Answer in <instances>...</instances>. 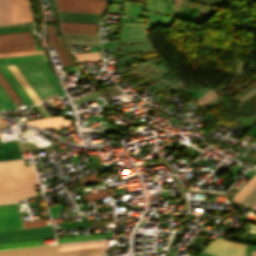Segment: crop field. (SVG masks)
<instances>
[{
  "label": "crop field",
  "mask_w": 256,
  "mask_h": 256,
  "mask_svg": "<svg viewBox=\"0 0 256 256\" xmlns=\"http://www.w3.org/2000/svg\"><path fill=\"white\" fill-rule=\"evenodd\" d=\"M1 137V136H0Z\"/></svg>",
  "instance_id": "obj_39"
},
{
  "label": "crop field",
  "mask_w": 256,
  "mask_h": 256,
  "mask_svg": "<svg viewBox=\"0 0 256 256\" xmlns=\"http://www.w3.org/2000/svg\"><path fill=\"white\" fill-rule=\"evenodd\" d=\"M0 85L3 87V89L6 91V93L14 103L20 102V99L17 97V95L14 93V91L11 89V87L8 85V83L5 81V79L2 77L1 74H0Z\"/></svg>",
  "instance_id": "obj_26"
},
{
  "label": "crop field",
  "mask_w": 256,
  "mask_h": 256,
  "mask_svg": "<svg viewBox=\"0 0 256 256\" xmlns=\"http://www.w3.org/2000/svg\"><path fill=\"white\" fill-rule=\"evenodd\" d=\"M37 180L32 166L22 160L0 162V203L17 201L35 195Z\"/></svg>",
  "instance_id": "obj_1"
},
{
  "label": "crop field",
  "mask_w": 256,
  "mask_h": 256,
  "mask_svg": "<svg viewBox=\"0 0 256 256\" xmlns=\"http://www.w3.org/2000/svg\"><path fill=\"white\" fill-rule=\"evenodd\" d=\"M256 185V175L233 197L236 202H240Z\"/></svg>",
  "instance_id": "obj_22"
},
{
  "label": "crop field",
  "mask_w": 256,
  "mask_h": 256,
  "mask_svg": "<svg viewBox=\"0 0 256 256\" xmlns=\"http://www.w3.org/2000/svg\"><path fill=\"white\" fill-rule=\"evenodd\" d=\"M37 109L42 113L44 117L50 116L49 113L46 111V109L43 107L42 104L36 105Z\"/></svg>",
  "instance_id": "obj_34"
},
{
  "label": "crop field",
  "mask_w": 256,
  "mask_h": 256,
  "mask_svg": "<svg viewBox=\"0 0 256 256\" xmlns=\"http://www.w3.org/2000/svg\"><path fill=\"white\" fill-rule=\"evenodd\" d=\"M23 228L18 213L0 215V231Z\"/></svg>",
  "instance_id": "obj_14"
},
{
  "label": "crop field",
  "mask_w": 256,
  "mask_h": 256,
  "mask_svg": "<svg viewBox=\"0 0 256 256\" xmlns=\"http://www.w3.org/2000/svg\"><path fill=\"white\" fill-rule=\"evenodd\" d=\"M108 196H110V195H109L107 189L103 190V191H99V192L83 194V197L86 199L87 202L92 201L91 200L92 198H93V200H95V199L104 198V197H108Z\"/></svg>",
  "instance_id": "obj_28"
},
{
  "label": "crop field",
  "mask_w": 256,
  "mask_h": 256,
  "mask_svg": "<svg viewBox=\"0 0 256 256\" xmlns=\"http://www.w3.org/2000/svg\"><path fill=\"white\" fill-rule=\"evenodd\" d=\"M14 24L32 21L29 0H11Z\"/></svg>",
  "instance_id": "obj_6"
},
{
  "label": "crop field",
  "mask_w": 256,
  "mask_h": 256,
  "mask_svg": "<svg viewBox=\"0 0 256 256\" xmlns=\"http://www.w3.org/2000/svg\"><path fill=\"white\" fill-rule=\"evenodd\" d=\"M254 208L256 209V206Z\"/></svg>",
  "instance_id": "obj_38"
},
{
  "label": "crop field",
  "mask_w": 256,
  "mask_h": 256,
  "mask_svg": "<svg viewBox=\"0 0 256 256\" xmlns=\"http://www.w3.org/2000/svg\"><path fill=\"white\" fill-rule=\"evenodd\" d=\"M59 10L101 13L107 0H56Z\"/></svg>",
  "instance_id": "obj_4"
},
{
  "label": "crop field",
  "mask_w": 256,
  "mask_h": 256,
  "mask_svg": "<svg viewBox=\"0 0 256 256\" xmlns=\"http://www.w3.org/2000/svg\"><path fill=\"white\" fill-rule=\"evenodd\" d=\"M7 68L10 70V72L13 74V76L16 78V80L34 102V104L41 102L37 95L34 93V91L31 89V87L28 85V83L25 81V79L22 77V75L19 73V71L16 69V67L7 66Z\"/></svg>",
  "instance_id": "obj_16"
},
{
  "label": "crop field",
  "mask_w": 256,
  "mask_h": 256,
  "mask_svg": "<svg viewBox=\"0 0 256 256\" xmlns=\"http://www.w3.org/2000/svg\"><path fill=\"white\" fill-rule=\"evenodd\" d=\"M51 103L53 104V106H54L57 110H60V108L54 103V101H51Z\"/></svg>",
  "instance_id": "obj_36"
},
{
  "label": "crop field",
  "mask_w": 256,
  "mask_h": 256,
  "mask_svg": "<svg viewBox=\"0 0 256 256\" xmlns=\"http://www.w3.org/2000/svg\"><path fill=\"white\" fill-rule=\"evenodd\" d=\"M1 69L10 79V81L13 83V85L16 87V89L19 91V93L22 95V97L25 99L28 105H32L33 102L30 100V98L27 96V94L24 92V90L21 88V86L18 84V82L15 80V78L12 76V74L9 72L6 66H2Z\"/></svg>",
  "instance_id": "obj_21"
},
{
  "label": "crop field",
  "mask_w": 256,
  "mask_h": 256,
  "mask_svg": "<svg viewBox=\"0 0 256 256\" xmlns=\"http://www.w3.org/2000/svg\"><path fill=\"white\" fill-rule=\"evenodd\" d=\"M26 123L38 126L42 129L59 127L70 124L68 120H64L62 116L50 117L41 120L26 121Z\"/></svg>",
  "instance_id": "obj_13"
},
{
  "label": "crop field",
  "mask_w": 256,
  "mask_h": 256,
  "mask_svg": "<svg viewBox=\"0 0 256 256\" xmlns=\"http://www.w3.org/2000/svg\"><path fill=\"white\" fill-rule=\"evenodd\" d=\"M29 256H104L103 246Z\"/></svg>",
  "instance_id": "obj_7"
},
{
  "label": "crop field",
  "mask_w": 256,
  "mask_h": 256,
  "mask_svg": "<svg viewBox=\"0 0 256 256\" xmlns=\"http://www.w3.org/2000/svg\"><path fill=\"white\" fill-rule=\"evenodd\" d=\"M13 24L10 0H0V26Z\"/></svg>",
  "instance_id": "obj_17"
},
{
  "label": "crop field",
  "mask_w": 256,
  "mask_h": 256,
  "mask_svg": "<svg viewBox=\"0 0 256 256\" xmlns=\"http://www.w3.org/2000/svg\"><path fill=\"white\" fill-rule=\"evenodd\" d=\"M41 53H45L44 50H40V51H31V52H21V53H11V54H1V57H11V56H21V55H31V54H41Z\"/></svg>",
  "instance_id": "obj_30"
},
{
  "label": "crop field",
  "mask_w": 256,
  "mask_h": 256,
  "mask_svg": "<svg viewBox=\"0 0 256 256\" xmlns=\"http://www.w3.org/2000/svg\"><path fill=\"white\" fill-rule=\"evenodd\" d=\"M47 60L45 54L41 55H31V56H21V57H11V58H1L0 65L13 64V63H23V62H33V61H43Z\"/></svg>",
  "instance_id": "obj_18"
},
{
  "label": "crop field",
  "mask_w": 256,
  "mask_h": 256,
  "mask_svg": "<svg viewBox=\"0 0 256 256\" xmlns=\"http://www.w3.org/2000/svg\"><path fill=\"white\" fill-rule=\"evenodd\" d=\"M46 244H48V243H46ZM36 245H44L43 240L21 242V243H12V244H3V245H0V250L11 249V248H19V247L36 246Z\"/></svg>",
  "instance_id": "obj_24"
},
{
  "label": "crop field",
  "mask_w": 256,
  "mask_h": 256,
  "mask_svg": "<svg viewBox=\"0 0 256 256\" xmlns=\"http://www.w3.org/2000/svg\"><path fill=\"white\" fill-rule=\"evenodd\" d=\"M111 237V234H101V235H85V236H76V237H65L57 238L59 243L64 242H73V241H83V240H92V239H101Z\"/></svg>",
  "instance_id": "obj_19"
},
{
  "label": "crop field",
  "mask_w": 256,
  "mask_h": 256,
  "mask_svg": "<svg viewBox=\"0 0 256 256\" xmlns=\"http://www.w3.org/2000/svg\"><path fill=\"white\" fill-rule=\"evenodd\" d=\"M55 237L52 226L0 232V244Z\"/></svg>",
  "instance_id": "obj_2"
},
{
  "label": "crop field",
  "mask_w": 256,
  "mask_h": 256,
  "mask_svg": "<svg viewBox=\"0 0 256 256\" xmlns=\"http://www.w3.org/2000/svg\"><path fill=\"white\" fill-rule=\"evenodd\" d=\"M4 127H6V126H5L4 122L0 119V128H4Z\"/></svg>",
  "instance_id": "obj_35"
},
{
  "label": "crop field",
  "mask_w": 256,
  "mask_h": 256,
  "mask_svg": "<svg viewBox=\"0 0 256 256\" xmlns=\"http://www.w3.org/2000/svg\"><path fill=\"white\" fill-rule=\"evenodd\" d=\"M13 108H16V106L12 103V101L0 86V110Z\"/></svg>",
  "instance_id": "obj_25"
},
{
  "label": "crop field",
  "mask_w": 256,
  "mask_h": 256,
  "mask_svg": "<svg viewBox=\"0 0 256 256\" xmlns=\"http://www.w3.org/2000/svg\"><path fill=\"white\" fill-rule=\"evenodd\" d=\"M245 246L243 244L232 243L224 239L217 238L203 252L218 256H243Z\"/></svg>",
  "instance_id": "obj_5"
},
{
  "label": "crop field",
  "mask_w": 256,
  "mask_h": 256,
  "mask_svg": "<svg viewBox=\"0 0 256 256\" xmlns=\"http://www.w3.org/2000/svg\"><path fill=\"white\" fill-rule=\"evenodd\" d=\"M32 28H33V24L0 27V34L14 33V32H24V31H33Z\"/></svg>",
  "instance_id": "obj_23"
},
{
  "label": "crop field",
  "mask_w": 256,
  "mask_h": 256,
  "mask_svg": "<svg viewBox=\"0 0 256 256\" xmlns=\"http://www.w3.org/2000/svg\"><path fill=\"white\" fill-rule=\"evenodd\" d=\"M48 42L49 46L54 45V48L60 57L64 67L72 65L70 58L68 57L65 49L61 45L58 37L55 35L54 25L47 26Z\"/></svg>",
  "instance_id": "obj_9"
},
{
  "label": "crop field",
  "mask_w": 256,
  "mask_h": 256,
  "mask_svg": "<svg viewBox=\"0 0 256 256\" xmlns=\"http://www.w3.org/2000/svg\"><path fill=\"white\" fill-rule=\"evenodd\" d=\"M99 245H103V240L65 244V245H58V246H59V250H67V249H75V248H82V247L99 246Z\"/></svg>",
  "instance_id": "obj_20"
},
{
  "label": "crop field",
  "mask_w": 256,
  "mask_h": 256,
  "mask_svg": "<svg viewBox=\"0 0 256 256\" xmlns=\"http://www.w3.org/2000/svg\"><path fill=\"white\" fill-rule=\"evenodd\" d=\"M62 21L97 23L101 14L59 11Z\"/></svg>",
  "instance_id": "obj_10"
},
{
  "label": "crop field",
  "mask_w": 256,
  "mask_h": 256,
  "mask_svg": "<svg viewBox=\"0 0 256 256\" xmlns=\"http://www.w3.org/2000/svg\"><path fill=\"white\" fill-rule=\"evenodd\" d=\"M68 45L97 46L96 36L63 34Z\"/></svg>",
  "instance_id": "obj_15"
},
{
  "label": "crop field",
  "mask_w": 256,
  "mask_h": 256,
  "mask_svg": "<svg viewBox=\"0 0 256 256\" xmlns=\"http://www.w3.org/2000/svg\"><path fill=\"white\" fill-rule=\"evenodd\" d=\"M59 251L57 245L0 252V256H18L42 252Z\"/></svg>",
  "instance_id": "obj_12"
},
{
  "label": "crop field",
  "mask_w": 256,
  "mask_h": 256,
  "mask_svg": "<svg viewBox=\"0 0 256 256\" xmlns=\"http://www.w3.org/2000/svg\"><path fill=\"white\" fill-rule=\"evenodd\" d=\"M22 158L17 141L0 142V160Z\"/></svg>",
  "instance_id": "obj_11"
},
{
  "label": "crop field",
  "mask_w": 256,
  "mask_h": 256,
  "mask_svg": "<svg viewBox=\"0 0 256 256\" xmlns=\"http://www.w3.org/2000/svg\"><path fill=\"white\" fill-rule=\"evenodd\" d=\"M14 212H18L15 204L0 206V214L14 213Z\"/></svg>",
  "instance_id": "obj_29"
},
{
  "label": "crop field",
  "mask_w": 256,
  "mask_h": 256,
  "mask_svg": "<svg viewBox=\"0 0 256 256\" xmlns=\"http://www.w3.org/2000/svg\"><path fill=\"white\" fill-rule=\"evenodd\" d=\"M78 62H86V61H97L101 59L100 55H94V56H82V57H76Z\"/></svg>",
  "instance_id": "obj_33"
},
{
  "label": "crop field",
  "mask_w": 256,
  "mask_h": 256,
  "mask_svg": "<svg viewBox=\"0 0 256 256\" xmlns=\"http://www.w3.org/2000/svg\"><path fill=\"white\" fill-rule=\"evenodd\" d=\"M251 256H256V252L252 251V255Z\"/></svg>",
  "instance_id": "obj_37"
},
{
  "label": "crop field",
  "mask_w": 256,
  "mask_h": 256,
  "mask_svg": "<svg viewBox=\"0 0 256 256\" xmlns=\"http://www.w3.org/2000/svg\"><path fill=\"white\" fill-rule=\"evenodd\" d=\"M34 40L30 32L0 35V43L20 42ZM35 50V41L0 44V53Z\"/></svg>",
  "instance_id": "obj_3"
},
{
  "label": "crop field",
  "mask_w": 256,
  "mask_h": 256,
  "mask_svg": "<svg viewBox=\"0 0 256 256\" xmlns=\"http://www.w3.org/2000/svg\"><path fill=\"white\" fill-rule=\"evenodd\" d=\"M96 26L97 24L62 22L61 32L70 34L96 35Z\"/></svg>",
  "instance_id": "obj_8"
},
{
  "label": "crop field",
  "mask_w": 256,
  "mask_h": 256,
  "mask_svg": "<svg viewBox=\"0 0 256 256\" xmlns=\"http://www.w3.org/2000/svg\"><path fill=\"white\" fill-rule=\"evenodd\" d=\"M91 176L89 177H85L81 179V182L83 184V186L86 185H90V184H94V183H98L97 178L95 177L94 173L90 174ZM100 182V181H99Z\"/></svg>",
  "instance_id": "obj_31"
},
{
  "label": "crop field",
  "mask_w": 256,
  "mask_h": 256,
  "mask_svg": "<svg viewBox=\"0 0 256 256\" xmlns=\"http://www.w3.org/2000/svg\"><path fill=\"white\" fill-rule=\"evenodd\" d=\"M240 204L254 207L256 205V186L253 190L240 202Z\"/></svg>",
  "instance_id": "obj_27"
},
{
  "label": "crop field",
  "mask_w": 256,
  "mask_h": 256,
  "mask_svg": "<svg viewBox=\"0 0 256 256\" xmlns=\"http://www.w3.org/2000/svg\"><path fill=\"white\" fill-rule=\"evenodd\" d=\"M23 223H24L25 228L46 225L44 220L26 221V222H23Z\"/></svg>",
  "instance_id": "obj_32"
}]
</instances>
